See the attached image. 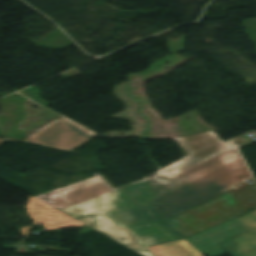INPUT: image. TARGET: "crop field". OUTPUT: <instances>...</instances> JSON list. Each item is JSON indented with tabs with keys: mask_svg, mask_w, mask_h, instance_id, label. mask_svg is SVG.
Instances as JSON below:
<instances>
[{
	"mask_svg": "<svg viewBox=\"0 0 256 256\" xmlns=\"http://www.w3.org/2000/svg\"><path fill=\"white\" fill-rule=\"evenodd\" d=\"M148 249V248H147ZM149 250V249H148ZM150 251V250H149ZM154 256H156L152 251H150Z\"/></svg>",
	"mask_w": 256,
	"mask_h": 256,
	"instance_id": "obj_13",
	"label": "crop field"
},
{
	"mask_svg": "<svg viewBox=\"0 0 256 256\" xmlns=\"http://www.w3.org/2000/svg\"><path fill=\"white\" fill-rule=\"evenodd\" d=\"M30 228L31 226L22 229L24 236L30 235Z\"/></svg>",
	"mask_w": 256,
	"mask_h": 256,
	"instance_id": "obj_11",
	"label": "crop field"
},
{
	"mask_svg": "<svg viewBox=\"0 0 256 256\" xmlns=\"http://www.w3.org/2000/svg\"><path fill=\"white\" fill-rule=\"evenodd\" d=\"M53 208L54 207L34 198L33 196H30L27 204V210L29 212V215L34 218V224L41 223L44 225L46 230L83 224Z\"/></svg>",
	"mask_w": 256,
	"mask_h": 256,
	"instance_id": "obj_8",
	"label": "crop field"
},
{
	"mask_svg": "<svg viewBox=\"0 0 256 256\" xmlns=\"http://www.w3.org/2000/svg\"><path fill=\"white\" fill-rule=\"evenodd\" d=\"M256 206V184H248L231 193L183 211L166 220L186 239L232 220Z\"/></svg>",
	"mask_w": 256,
	"mask_h": 256,
	"instance_id": "obj_3",
	"label": "crop field"
},
{
	"mask_svg": "<svg viewBox=\"0 0 256 256\" xmlns=\"http://www.w3.org/2000/svg\"><path fill=\"white\" fill-rule=\"evenodd\" d=\"M256 228V211L236 218L202 234L188 239L201 254L207 256H222L225 252L233 256H256V229L225 243H218Z\"/></svg>",
	"mask_w": 256,
	"mask_h": 256,
	"instance_id": "obj_4",
	"label": "crop field"
},
{
	"mask_svg": "<svg viewBox=\"0 0 256 256\" xmlns=\"http://www.w3.org/2000/svg\"><path fill=\"white\" fill-rule=\"evenodd\" d=\"M60 121H66V122H70V123H72V124H74V125H77V126H79L78 124H76V123H74V122H72L71 120H69V119H67V118H62V119H60ZM79 127H81V126H79ZM83 128V127H82ZM85 129V128H84ZM86 133H88V134H91V135H93V136H95L96 134H94V133H92V132H90V131H87Z\"/></svg>",
	"mask_w": 256,
	"mask_h": 256,
	"instance_id": "obj_10",
	"label": "crop field"
},
{
	"mask_svg": "<svg viewBox=\"0 0 256 256\" xmlns=\"http://www.w3.org/2000/svg\"><path fill=\"white\" fill-rule=\"evenodd\" d=\"M155 197L146 181L61 211L143 256H153L145 247L183 238L163 221L151 202Z\"/></svg>",
	"mask_w": 256,
	"mask_h": 256,
	"instance_id": "obj_1",
	"label": "crop field"
},
{
	"mask_svg": "<svg viewBox=\"0 0 256 256\" xmlns=\"http://www.w3.org/2000/svg\"><path fill=\"white\" fill-rule=\"evenodd\" d=\"M183 169L204 200L251 178L237 149Z\"/></svg>",
	"mask_w": 256,
	"mask_h": 256,
	"instance_id": "obj_5",
	"label": "crop field"
},
{
	"mask_svg": "<svg viewBox=\"0 0 256 256\" xmlns=\"http://www.w3.org/2000/svg\"><path fill=\"white\" fill-rule=\"evenodd\" d=\"M249 180H252V178L251 179H249ZM246 184H248V182L247 181H245V182H243V183H241V184H239V185H237V186H235V187H233V188H231V189H229V190H227V191H225V192H223V193H220V194H218V195H216V196H214V197H212V198H210V199H208V200H206V201H209V200H211V199H214V198H216V197H218V196H221V195H223V194H226V193H228V192H231V191H233V190H235V189H237V188H239V187H242V186H244V185H246ZM206 201H204V202H206ZM204 202H202V203H204ZM201 204V203H200ZM199 205V204H198ZM197 206V205H196ZM195 207V206H194ZM191 208H193V207H191ZM190 209V208H189Z\"/></svg>",
	"mask_w": 256,
	"mask_h": 256,
	"instance_id": "obj_9",
	"label": "crop field"
},
{
	"mask_svg": "<svg viewBox=\"0 0 256 256\" xmlns=\"http://www.w3.org/2000/svg\"><path fill=\"white\" fill-rule=\"evenodd\" d=\"M85 131L70 123L57 121L26 141L70 151L93 137Z\"/></svg>",
	"mask_w": 256,
	"mask_h": 256,
	"instance_id": "obj_7",
	"label": "crop field"
},
{
	"mask_svg": "<svg viewBox=\"0 0 256 256\" xmlns=\"http://www.w3.org/2000/svg\"><path fill=\"white\" fill-rule=\"evenodd\" d=\"M150 181L159 195L154 202L165 219L204 201L186 171L176 178L163 175Z\"/></svg>",
	"mask_w": 256,
	"mask_h": 256,
	"instance_id": "obj_6",
	"label": "crop field"
},
{
	"mask_svg": "<svg viewBox=\"0 0 256 256\" xmlns=\"http://www.w3.org/2000/svg\"><path fill=\"white\" fill-rule=\"evenodd\" d=\"M178 141L190 153V155L181 161L145 178L142 181L114 189L102 176H100L89 181L68 187L64 190L46 194L39 197L38 199L60 210L89 200L91 198L132 186L148 179L167 174L176 169L183 168L187 165L197 163L220 155L224 152L236 149V147L229 142H220L213 133L181 139Z\"/></svg>",
	"mask_w": 256,
	"mask_h": 256,
	"instance_id": "obj_2",
	"label": "crop field"
},
{
	"mask_svg": "<svg viewBox=\"0 0 256 256\" xmlns=\"http://www.w3.org/2000/svg\"><path fill=\"white\" fill-rule=\"evenodd\" d=\"M3 141H5V140L0 139V143H2Z\"/></svg>",
	"mask_w": 256,
	"mask_h": 256,
	"instance_id": "obj_14",
	"label": "crop field"
},
{
	"mask_svg": "<svg viewBox=\"0 0 256 256\" xmlns=\"http://www.w3.org/2000/svg\"><path fill=\"white\" fill-rule=\"evenodd\" d=\"M182 170H183V169L176 170V171H174V172H172V173H169V174H167V175H169V176H171V177H176L177 173H178L179 171H182Z\"/></svg>",
	"mask_w": 256,
	"mask_h": 256,
	"instance_id": "obj_12",
	"label": "crop field"
}]
</instances>
